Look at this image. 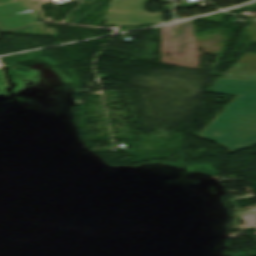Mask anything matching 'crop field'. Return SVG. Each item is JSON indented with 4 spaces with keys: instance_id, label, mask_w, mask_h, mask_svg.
Listing matches in <instances>:
<instances>
[{
    "instance_id": "ac0d7876",
    "label": "crop field",
    "mask_w": 256,
    "mask_h": 256,
    "mask_svg": "<svg viewBox=\"0 0 256 256\" xmlns=\"http://www.w3.org/2000/svg\"><path fill=\"white\" fill-rule=\"evenodd\" d=\"M150 0H112L105 24L142 25L161 23L159 14L144 12V3Z\"/></svg>"
},
{
    "instance_id": "8a807250",
    "label": "crop field",
    "mask_w": 256,
    "mask_h": 256,
    "mask_svg": "<svg viewBox=\"0 0 256 256\" xmlns=\"http://www.w3.org/2000/svg\"><path fill=\"white\" fill-rule=\"evenodd\" d=\"M208 92L239 96L201 132V137L229 151L256 144V81L218 78Z\"/></svg>"
},
{
    "instance_id": "412701ff",
    "label": "crop field",
    "mask_w": 256,
    "mask_h": 256,
    "mask_svg": "<svg viewBox=\"0 0 256 256\" xmlns=\"http://www.w3.org/2000/svg\"><path fill=\"white\" fill-rule=\"evenodd\" d=\"M10 33L59 37L55 28H47L43 23H38L36 25Z\"/></svg>"
},
{
    "instance_id": "34b2d1b8",
    "label": "crop field",
    "mask_w": 256,
    "mask_h": 256,
    "mask_svg": "<svg viewBox=\"0 0 256 256\" xmlns=\"http://www.w3.org/2000/svg\"><path fill=\"white\" fill-rule=\"evenodd\" d=\"M37 21V9L31 0L0 5V32L24 27Z\"/></svg>"
}]
</instances>
